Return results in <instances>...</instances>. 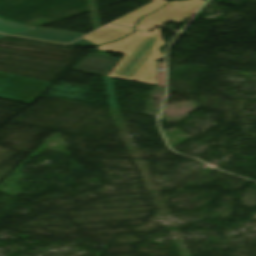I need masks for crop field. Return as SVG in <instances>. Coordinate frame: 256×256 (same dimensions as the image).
I'll list each match as a JSON object with an SVG mask.
<instances>
[{"mask_svg":"<svg viewBox=\"0 0 256 256\" xmlns=\"http://www.w3.org/2000/svg\"><path fill=\"white\" fill-rule=\"evenodd\" d=\"M161 39L160 28L151 33L134 31L117 42L100 45L96 49L157 60L163 58L164 54V51L158 48L166 44Z\"/></svg>","mask_w":256,"mask_h":256,"instance_id":"obj_1","label":"crop field"},{"mask_svg":"<svg viewBox=\"0 0 256 256\" xmlns=\"http://www.w3.org/2000/svg\"><path fill=\"white\" fill-rule=\"evenodd\" d=\"M51 83L0 72V98L29 104Z\"/></svg>","mask_w":256,"mask_h":256,"instance_id":"obj_2","label":"crop field"},{"mask_svg":"<svg viewBox=\"0 0 256 256\" xmlns=\"http://www.w3.org/2000/svg\"><path fill=\"white\" fill-rule=\"evenodd\" d=\"M205 1H171L153 14L141 18L136 29L145 30L154 25L161 26L166 21L179 23L192 15Z\"/></svg>","mask_w":256,"mask_h":256,"instance_id":"obj_3","label":"crop field"},{"mask_svg":"<svg viewBox=\"0 0 256 256\" xmlns=\"http://www.w3.org/2000/svg\"><path fill=\"white\" fill-rule=\"evenodd\" d=\"M157 61L123 55L108 76L157 85Z\"/></svg>","mask_w":256,"mask_h":256,"instance_id":"obj_4","label":"crop field"},{"mask_svg":"<svg viewBox=\"0 0 256 256\" xmlns=\"http://www.w3.org/2000/svg\"><path fill=\"white\" fill-rule=\"evenodd\" d=\"M118 60L113 56L91 53L74 70L107 76Z\"/></svg>","mask_w":256,"mask_h":256,"instance_id":"obj_5","label":"crop field"},{"mask_svg":"<svg viewBox=\"0 0 256 256\" xmlns=\"http://www.w3.org/2000/svg\"><path fill=\"white\" fill-rule=\"evenodd\" d=\"M16 35L67 43L80 37L81 35H83V33L38 28V29L22 32Z\"/></svg>","mask_w":256,"mask_h":256,"instance_id":"obj_6","label":"crop field"},{"mask_svg":"<svg viewBox=\"0 0 256 256\" xmlns=\"http://www.w3.org/2000/svg\"><path fill=\"white\" fill-rule=\"evenodd\" d=\"M132 32V29L123 28L114 25H107L104 28L89 34L83 38L86 40L99 45L105 42L113 41L118 38H121Z\"/></svg>","mask_w":256,"mask_h":256,"instance_id":"obj_7","label":"crop field"},{"mask_svg":"<svg viewBox=\"0 0 256 256\" xmlns=\"http://www.w3.org/2000/svg\"><path fill=\"white\" fill-rule=\"evenodd\" d=\"M154 2L148 4V5H145L111 23H114V24H118V25H122V26H126V27H130V28H134V25L136 23V21L152 12V11H155L156 9H158L160 6H162L163 4L167 3V1L165 0H152Z\"/></svg>","mask_w":256,"mask_h":256,"instance_id":"obj_8","label":"crop field"},{"mask_svg":"<svg viewBox=\"0 0 256 256\" xmlns=\"http://www.w3.org/2000/svg\"><path fill=\"white\" fill-rule=\"evenodd\" d=\"M33 29V27L21 25L18 23L10 22L0 19V32L13 35L22 31Z\"/></svg>","mask_w":256,"mask_h":256,"instance_id":"obj_9","label":"crop field"},{"mask_svg":"<svg viewBox=\"0 0 256 256\" xmlns=\"http://www.w3.org/2000/svg\"><path fill=\"white\" fill-rule=\"evenodd\" d=\"M71 45L86 46V45H94V44H92V43H90V42H88V41H86V40H84V39L81 38V39H79V40H77V41L71 43Z\"/></svg>","mask_w":256,"mask_h":256,"instance_id":"obj_10","label":"crop field"},{"mask_svg":"<svg viewBox=\"0 0 256 256\" xmlns=\"http://www.w3.org/2000/svg\"><path fill=\"white\" fill-rule=\"evenodd\" d=\"M5 36H7V35L0 34V38H1V37H5Z\"/></svg>","mask_w":256,"mask_h":256,"instance_id":"obj_11","label":"crop field"}]
</instances>
